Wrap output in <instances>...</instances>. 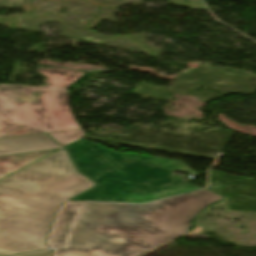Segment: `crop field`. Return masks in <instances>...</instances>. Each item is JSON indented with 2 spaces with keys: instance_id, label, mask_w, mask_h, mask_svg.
I'll use <instances>...</instances> for the list:
<instances>
[{
  "instance_id": "obj_1",
  "label": "crop field",
  "mask_w": 256,
  "mask_h": 256,
  "mask_svg": "<svg viewBox=\"0 0 256 256\" xmlns=\"http://www.w3.org/2000/svg\"><path fill=\"white\" fill-rule=\"evenodd\" d=\"M222 199L200 190L146 205L69 203L49 243L55 256H136L188 232L204 208Z\"/></svg>"
},
{
  "instance_id": "obj_2",
  "label": "crop field",
  "mask_w": 256,
  "mask_h": 256,
  "mask_svg": "<svg viewBox=\"0 0 256 256\" xmlns=\"http://www.w3.org/2000/svg\"><path fill=\"white\" fill-rule=\"evenodd\" d=\"M94 186L65 149L0 182V256L47 249L57 208Z\"/></svg>"
},
{
  "instance_id": "obj_3",
  "label": "crop field",
  "mask_w": 256,
  "mask_h": 256,
  "mask_svg": "<svg viewBox=\"0 0 256 256\" xmlns=\"http://www.w3.org/2000/svg\"><path fill=\"white\" fill-rule=\"evenodd\" d=\"M67 149L77 169L98 184L72 199L75 201L146 203L201 189L173 174L181 171L198 176L177 160L119 154L84 139Z\"/></svg>"
},
{
  "instance_id": "obj_4",
  "label": "crop field",
  "mask_w": 256,
  "mask_h": 256,
  "mask_svg": "<svg viewBox=\"0 0 256 256\" xmlns=\"http://www.w3.org/2000/svg\"><path fill=\"white\" fill-rule=\"evenodd\" d=\"M49 86L0 85V138L79 129L65 90L85 73L38 67ZM42 92L32 99L29 94Z\"/></svg>"
},
{
  "instance_id": "obj_5",
  "label": "crop field",
  "mask_w": 256,
  "mask_h": 256,
  "mask_svg": "<svg viewBox=\"0 0 256 256\" xmlns=\"http://www.w3.org/2000/svg\"><path fill=\"white\" fill-rule=\"evenodd\" d=\"M59 148L44 134L0 139V156Z\"/></svg>"
},
{
  "instance_id": "obj_6",
  "label": "crop field",
  "mask_w": 256,
  "mask_h": 256,
  "mask_svg": "<svg viewBox=\"0 0 256 256\" xmlns=\"http://www.w3.org/2000/svg\"><path fill=\"white\" fill-rule=\"evenodd\" d=\"M54 150L0 157V179L55 152Z\"/></svg>"
},
{
  "instance_id": "obj_7",
  "label": "crop field",
  "mask_w": 256,
  "mask_h": 256,
  "mask_svg": "<svg viewBox=\"0 0 256 256\" xmlns=\"http://www.w3.org/2000/svg\"><path fill=\"white\" fill-rule=\"evenodd\" d=\"M48 135L62 147L85 136L83 130L50 133Z\"/></svg>"
},
{
  "instance_id": "obj_8",
  "label": "crop field",
  "mask_w": 256,
  "mask_h": 256,
  "mask_svg": "<svg viewBox=\"0 0 256 256\" xmlns=\"http://www.w3.org/2000/svg\"><path fill=\"white\" fill-rule=\"evenodd\" d=\"M52 251H44V252H38L33 254H27V255H20V256H51Z\"/></svg>"
}]
</instances>
